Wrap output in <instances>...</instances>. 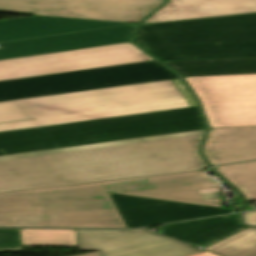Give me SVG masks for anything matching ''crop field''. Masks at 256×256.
Masks as SVG:
<instances>
[{
  "mask_svg": "<svg viewBox=\"0 0 256 256\" xmlns=\"http://www.w3.org/2000/svg\"><path fill=\"white\" fill-rule=\"evenodd\" d=\"M198 107L0 133V193L203 170Z\"/></svg>",
  "mask_w": 256,
  "mask_h": 256,
  "instance_id": "8a807250",
  "label": "crop field"
},
{
  "mask_svg": "<svg viewBox=\"0 0 256 256\" xmlns=\"http://www.w3.org/2000/svg\"><path fill=\"white\" fill-rule=\"evenodd\" d=\"M108 193L222 208L216 182L196 171L0 194V227H46L25 217L54 212L48 227L126 228Z\"/></svg>",
  "mask_w": 256,
  "mask_h": 256,
  "instance_id": "ac0d7876",
  "label": "crop field"
},
{
  "mask_svg": "<svg viewBox=\"0 0 256 256\" xmlns=\"http://www.w3.org/2000/svg\"><path fill=\"white\" fill-rule=\"evenodd\" d=\"M171 80L0 102V132L186 108Z\"/></svg>",
  "mask_w": 256,
  "mask_h": 256,
  "instance_id": "34b2d1b8",
  "label": "crop field"
},
{
  "mask_svg": "<svg viewBox=\"0 0 256 256\" xmlns=\"http://www.w3.org/2000/svg\"><path fill=\"white\" fill-rule=\"evenodd\" d=\"M134 42L161 61L256 57V14L138 26Z\"/></svg>",
  "mask_w": 256,
  "mask_h": 256,
  "instance_id": "412701ff",
  "label": "crop field"
},
{
  "mask_svg": "<svg viewBox=\"0 0 256 256\" xmlns=\"http://www.w3.org/2000/svg\"><path fill=\"white\" fill-rule=\"evenodd\" d=\"M179 78L156 62L0 82V101Z\"/></svg>",
  "mask_w": 256,
  "mask_h": 256,
  "instance_id": "f4fd0767",
  "label": "crop field"
},
{
  "mask_svg": "<svg viewBox=\"0 0 256 256\" xmlns=\"http://www.w3.org/2000/svg\"><path fill=\"white\" fill-rule=\"evenodd\" d=\"M184 78L210 128L256 126V74Z\"/></svg>",
  "mask_w": 256,
  "mask_h": 256,
  "instance_id": "dd49c442",
  "label": "crop field"
},
{
  "mask_svg": "<svg viewBox=\"0 0 256 256\" xmlns=\"http://www.w3.org/2000/svg\"><path fill=\"white\" fill-rule=\"evenodd\" d=\"M153 60L130 43L0 61V80Z\"/></svg>",
  "mask_w": 256,
  "mask_h": 256,
  "instance_id": "e52e79f7",
  "label": "crop field"
},
{
  "mask_svg": "<svg viewBox=\"0 0 256 256\" xmlns=\"http://www.w3.org/2000/svg\"><path fill=\"white\" fill-rule=\"evenodd\" d=\"M165 0H0V12L138 23Z\"/></svg>",
  "mask_w": 256,
  "mask_h": 256,
  "instance_id": "d8731c3e",
  "label": "crop field"
},
{
  "mask_svg": "<svg viewBox=\"0 0 256 256\" xmlns=\"http://www.w3.org/2000/svg\"><path fill=\"white\" fill-rule=\"evenodd\" d=\"M78 251L99 250L101 256H185L203 252L145 229L76 230Z\"/></svg>",
  "mask_w": 256,
  "mask_h": 256,
  "instance_id": "5a996713",
  "label": "crop field"
},
{
  "mask_svg": "<svg viewBox=\"0 0 256 256\" xmlns=\"http://www.w3.org/2000/svg\"><path fill=\"white\" fill-rule=\"evenodd\" d=\"M133 26L0 43V60L129 42Z\"/></svg>",
  "mask_w": 256,
  "mask_h": 256,
  "instance_id": "3316defc",
  "label": "crop field"
},
{
  "mask_svg": "<svg viewBox=\"0 0 256 256\" xmlns=\"http://www.w3.org/2000/svg\"><path fill=\"white\" fill-rule=\"evenodd\" d=\"M110 196L128 228L233 212L231 209H219L125 195L110 194Z\"/></svg>",
  "mask_w": 256,
  "mask_h": 256,
  "instance_id": "28ad6ade",
  "label": "crop field"
},
{
  "mask_svg": "<svg viewBox=\"0 0 256 256\" xmlns=\"http://www.w3.org/2000/svg\"><path fill=\"white\" fill-rule=\"evenodd\" d=\"M203 152L211 165L255 160L256 127L210 129Z\"/></svg>",
  "mask_w": 256,
  "mask_h": 256,
  "instance_id": "d1516ede",
  "label": "crop field"
},
{
  "mask_svg": "<svg viewBox=\"0 0 256 256\" xmlns=\"http://www.w3.org/2000/svg\"><path fill=\"white\" fill-rule=\"evenodd\" d=\"M127 23L33 16L0 21V42Z\"/></svg>",
  "mask_w": 256,
  "mask_h": 256,
  "instance_id": "22f410ed",
  "label": "crop field"
},
{
  "mask_svg": "<svg viewBox=\"0 0 256 256\" xmlns=\"http://www.w3.org/2000/svg\"><path fill=\"white\" fill-rule=\"evenodd\" d=\"M256 13V0H169L143 23Z\"/></svg>",
  "mask_w": 256,
  "mask_h": 256,
  "instance_id": "cbeb9de0",
  "label": "crop field"
},
{
  "mask_svg": "<svg viewBox=\"0 0 256 256\" xmlns=\"http://www.w3.org/2000/svg\"><path fill=\"white\" fill-rule=\"evenodd\" d=\"M247 228L239 215L222 216L159 227V233L204 248Z\"/></svg>",
  "mask_w": 256,
  "mask_h": 256,
  "instance_id": "5142ce71",
  "label": "crop field"
},
{
  "mask_svg": "<svg viewBox=\"0 0 256 256\" xmlns=\"http://www.w3.org/2000/svg\"><path fill=\"white\" fill-rule=\"evenodd\" d=\"M183 76L256 73V58L164 62Z\"/></svg>",
  "mask_w": 256,
  "mask_h": 256,
  "instance_id": "d9b57169",
  "label": "crop field"
},
{
  "mask_svg": "<svg viewBox=\"0 0 256 256\" xmlns=\"http://www.w3.org/2000/svg\"><path fill=\"white\" fill-rule=\"evenodd\" d=\"M205 250L220 256H256V228L245 229Z\"/></svg>",
  "mask_w": 256,
  "mask_h": 256,
  "instance_id": "733c2abd",
  "label": "crop field"
},
{
  "mask_svg": "<svg viewBox=\"0 0 256 256\" xmlns=\"http://www.w3.org/2000/svg\"><path fill=\"white\" fill-rule=\"evenodd\" d=\"M215 169L244 194L246 201L256 200V161Z\"/></svg>",
  "mask_w": 256,
  "mask_h": 256,
  "instance_id": "4a817a6b",
  "label": "crop field"
},
{
  "mask_svg": "<svg viewBox=\"0 0 256 256\" xmlns=\"http://www.w3.org/2000/svg\"><path fill=\"white\" fill-rule=\"evenodd\" d=\"M22 246H77L75 230L20 229Z\"/></svg>",
  "mask_w": 256,
  "mask_h": 256,
  "instance_id": "bc2a9ffb",
  "label": "crop field"
},
{
  "mask_svg": "<svg viewBox=\"0 0 256 256\" xmlns=\"http://www.w3.org/2000/svg\"><path fill=\"white\" fill-rule=\"evenodd\" d=\"M0 252H21L19 229H0Z\"/></svg>",
  "mask_w": 256,
  "mask_h": 256,
  "instance_id": "214f88e0",
  "label": "crop field"
},
{
  "mask_svg": "<svg viewBox=\"0 0 256 256\" xmlns=\"http://www.w3.org/2000/svg\"><path fill=\"white\" fill-rule=\"evenodd\" d=\"M172 82L175 84V86L180 91V93L185 98L190 107L197 106L194 96L191 94V92L188 90L185 84L181 81V79L172 80Z\"/></svg>",
  "mask_w": 256,
  "mask_h": 256,
  "instance_id": "92a150f3",
  "label": "crop field"
},
{
  "mask_svg": "<svg viewBox=\"0 0 256 256\" xmlns=\"http://www.w3.org/2000/svg\"><path fill=\"white\" fill-rule=\"evenodd\" d=\"M57 219H59L58 215L53 213L44 215V216H33V217L26 218L27 221L46 222V226H47V221L57 220Z\"/></svg>",
  "mask_w": 256,
  "mask_h": 256,
  "instance_id": "dafd665d",
  "label": "crop field"
},
{
  "mask_svg": "<svg viewBox=\"0 0 256 256\" xmlns=\"http://www.w3.org/2000/svg\"><path fill=\"white\" fill-rule=\"evenodd\" d=\"M245 220L248 221V222L256 221V212L249 213L248 215H246Z\"/></svg>",
  "mask_w": 256,
  "mask_h": 256,
  "instance_id": "00972430",
  "label": "crop field"
},
{
  "mask_svg": "<svg viewBox=\"0 0 256 256\" xmlns=\"http://www.w3.org/2000/svg\"><path fill=\"white\" fill-rule=\"evenodd\" d=\"M190 256H216V255H213V254L208 253V252H203V253L194 254V255H190Z\"/></svg>",
  "mask_w": 256,
  "mask_h": 256,
  "instance_id": "a9b5d70f",
  "label": "crop field"
},
{
  "mask_svg": "<svg viewBox=\"0 0 256 256\" xmlns=\"http://www.w3.org/2000/svg\"><path fill=\"white\" fill-rule=\"evenodd\" d=\"M80 256H100V255L98 252H94V253H89V254L80 255Z\"/></svg>",
  "mask_w": 256,
  "mask_h": 256,
  "instance_id": "4177f3b9",
  "label": "crop field"
},
{
  "mask_svg": "<svg viewBox=\"0 0 256 256\" xmlns=\"http://www.w3.org/2000/svg\"><path fill=\"white\" fill-rule=\"evenodd\" d=\"M248 223V222H247ZM248 224H256V222H254V223H248Z\"/></svg>",
  "mask_w": 256,
  "mask_h": 256,
  "instance_id": "730fd06b",
  "label": "crop field"
}]
</instances>
